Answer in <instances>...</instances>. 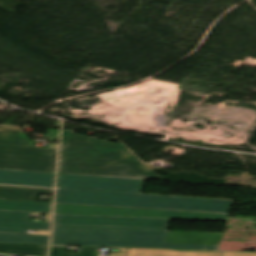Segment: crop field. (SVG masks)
<instances>
[{
  "label": "crop field",
  "mask_w": 256,
  "mask_h": 256,
  "mask_svg": "<svg viewBox=\"0 0 256 256\" xmlns=\"http://www.w3.org/2000/svg\"><path fill=\"white\" fill-rule=\"evenodd\" d=\"M58 173L163 180L123 146L62 130Z\"/></svg>",
  "instance_id": "8a807250"
},
{
  "label": "crop field",
  "mask_w": 256,
  "mask_h": 256,
  "mask_svg": "<svg viewBox=\"0 0 256 256\" xmlns=\"http://www.w3.org/2000/svg\"><path fill=\"white\" fill-rule=\"evenodd\" d=\"M127 256H256L254 252H202L129 248Z\"/></svg>",
  "instance_id": "3316defc"
},
{
  "label": "crop field",
  "mask_w": 256,
  "mask_h": 256,
  "mask_svg": "<svg viewBox=\"0 0 256 256\" xmlns=\"http://www.w3.org/2000/svg\"><path fill=\"white\" fill-rule=\"evenodd\" d=\"M31 214L45 215V219L50 218V214L0 211V232L33 234L27 233V229L49 230L50 221L45 220V223L30 222ZM38 234L49 235V232L39 231Z\"/></svg>",
  "instance_id": "d8731c3e"
},
{
  "label": "crop field",
  "mask_w": 256,
  "mask_h": 256,
  "mask_svg": "<svg viewBox=\"0 0 256 256\" xmlns=\"http://www.w3.org/2000/svg\"><path fill=\"white\" fill-rule=\"evenodd\" d=\"M54 214L225 221L228 214L55 203Z\"/></svg>",
  "instance_id": "f4fd0767"
},
{
  "label": "crop field",
  "mask_w": 256,
  "mask_h": 256,
  "mask_svg": "<svg viewBox=\"0 0 256 256\" xmlns=\"http://www.w3.org/2000/svg\"><path fill=\"white\" fill-rule=\"evenodd\" d=\"M0 256H4V255H0Z\"/></svg>",
  "instance_id": "4a817a6b"
},
{
  "label": "crop field",
  "mask_w": 256,
  "mask_h": 256,
  "mask_svg": "<svg viewBox=\"0 0 256 256\" xmlns=\"http://www.w3.org/2000/svg\"><path fill=\"white\" fill-rule=\"evenodd\" d=\"M66 247H52L50 256H96V247H81L79 253H65Z\"/></svg>",
  "instance_id": "5142ce71"
},
{
  "label": "crop field",
  "mask_w": 256,
  "mask_h": 256,
  "mask_svg": "<svg viewBox=\"0 0 256 256\" xmlns=\"http://www.w3.org/2000/svg\"><path fill=\"white\" fill-rule=\"evenodd\" d=\"M0 133L25 135L19 127L0 126Z\"/></svg>",
  "instance_id": "d9b57169"
},
{
  "label": "crop field",
  "mask_w": 256,
  "mask_h": 256,
  "mask_svg": "<svg viewBox=\"0 0 256 256\" xmlns=\"http://www.w3.org/2000/svg\"><path fill=\"white\" fill-rule=\"evenodd\" d=\"M0 184L54 187V174L0 170Z\"/></svg>",
  "instance_id": "5a996713"
},
{
  "label": "crop field",
  "mask_w": 256,
  "mask_h": 256,
  "mask_svg": "<svg viewBox=\"0 0 256 256\" xmlns=\"http://www.w3.org/2000/svg\"><path fill=\"white\" fill-rule=\"evenodd\" d=\"M49 236L1 234L0 243L48 244Z\"/></svg>",
  "instance_id": "cbeb9de0"
},
{
  "label": "crop field",
  "mask_w": 256,
  "mask_h": 256,
  "mask_svg": "<svg viewBox=\"0 0 256 256\" xmlns=\"http://www.w3.org/2000/svg\"><path fill=\"white\" fill-rule=\"evenodd\" d=\"M222 234L53 227L52 244L217 250Z\"/></svg>",
  "instance_id": "ac0d7876"
},
{
  "label": "crop field",
  "mask_w": 256,
  "mask_h": 256,
  "mask_svg": "<svg viewBox=\"0 0 256 256\" xmlns=\"http://www.w3.org/2000/svg\"><path fill=\"white\" fill-rule=\"evenodd\" d=\"M51 203L0 200V210L50 213Z\"/></svg>",
  "instance_id": "d1516ede"
},
{
  "label": "crop field",
  "mask_w": 256,
  "mask_h": 256,
  "mask_svg": "<svg viewBox=\"0 0 256 256\" xmlns=\"http://www.w3.org/2000/svg\"><path fill=\"white\" fill-rule=\"evenodd\" d=\"M48 245H28V244H0V253L46 256Z\"/></svg>",
  "instance_id": "22f410ed"
},
{
  "label": "crop field",
  "mask_w": 256,
  "mask_h": 256,
  "mask_svg": "<svg viewBox=\"0 0 256 256\" xmlns=\"http://www.w3.org/2000/svg\"><path fill=\"white\" fill-rule=\"evenodd\" d=\"M51 189L4 187L0 186V199L7 200H37L38 194L52 195Z\"/></svg>",
  "instance_id": "28ad6ade"
},
{
  "label": "crop field",
  "mask_w": 256,
  "mask_h": 256,
  "mask_svg": "<svg viewBox=\"0 0 256 256\" xmlns=\"http://www.w3.org/2000/svg\"><path fill=\"white\" fill-rule=\"evenodd\" d=\"M144 180L58 174L57 188L141 194Z\"/></svg>",
  "instance_id": "e52e79f7"
},
{
  "label": "crop field",
  "mask_w": 256,
  "mask_h": 256,
  "mask_svg": "<svg viewBox=\"0 0 256 256\" xmlns=\"http://www.w3.org/2000/svg\"><path fill=\"white\" fill-rule=\"evenodd\" d=\"M27 144V136L0 134V169L54 173L56 149Z\"/></svg>",
  "instance_id": "412701ff"
},
{
  "label": "crop field",
  "mask_w": 256,
  "mask_h": 256,
  "mask_svg": "<svg viewBox=\"0 0 256 256\" xmlns=\"http://www.w3.org/2000/svg\"><path fill=\"white\" fill-rule=\"evenodd\" d=\"M55 202L228 213L233 201L57 189Z\"/></svg>",
  "instance_id": "34b2d1b8"
},
{
  "label": "crop field",
  "mask_w": 256,
  "mask_h": 256,
  "mask_svg": "<svg viewBox=\"0 0 256 256\" xmlns=\"http://www.w3.org/2000/svg\"><path fill=\"white\" fill-rule=\"evenodd\" d=\"M168 220L54 215L53 226L167 230Z\"/></svg>",
  "instance_id": "dd49c442"
},
{
  "label": "crop field",
  "mask_w": 256,
  "mask_h": 256,
  "mask_svg": "<svg viewBox=\"0 0 256 256\" xmlns=\"http://www.w3.org/2000/svg\"><path fill=\"white\" fill-rule=\"evenodd\" d=\"M122 253L115 254L113 256H126L128 248H119Z\"/></svg>",
  "instance_id": "733c2abd"
}]
</instances>
